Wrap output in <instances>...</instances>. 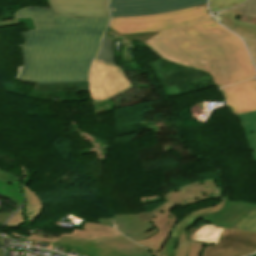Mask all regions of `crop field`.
I'll return each mask as SVG.
<instances>
[{"instance_id": "crop-field-13", "label": "crop field", "mask_w": 256, "mask_h": 256, "mask_svg": "<svg viewBox=\"0 0 256 256\" xmlns=\"http://www.w3.org/2000/svg\"><path fill=\"white\" fill-rule=\"evenodd\" d=\"M56 246L71 247L86 256H130L116 252L99 243L64 237L55 243Z\"/></svg>"}, {"instance_id": "crop-field-2", "label": "crop field", "mask_w": 256, "mask_h": 256, "mask_svg": "<svg viewBox=\"0 0 256 256\" xmlns=\"http://www.w3.org/2000/svg\"><path fill=\"white\" fill-rule=\"evenodd\" d=\"M16 18L32 17L36 31L20 33L25 44L19 80L32 83L88 82L108 16L54 17L52 9L26 8ZM97 56V55H96Z\"/></svg>"}, {"instance_id": "crop-field-1", "label": "crop field", "mask_w": 256, "mask_h": 256, "mask_svg": "<svg viewBox=\"0 0 256 256\" xmlns=\"http://www.w3.org/2000/svg\"><path fill=\"white\" fill-rule=\"evenodd\" d=\"M212 20L204 3L160 14L112 17L109 27L120 34L160 31L145 41L152 51L209 72L218 88L256 77L242 41Z\"/></svg>"}, {"instance_id": "crop-field-18", "label": "crop field", "mask_w": 256, "mask_h": 256, "mask_svg": "<svg viewBox=\"0 0 256 256\" xmlns=\"http://www.w3.org/2000/svg\"><path fill=\"white\" fill-rule=\"evenodd\" d=\"M244 5L238 7V8H234V9H230V10H226L223 11L222 13V18L221 21L223 22V24L228 27L230 30H232L233 32H235L237 35H239L240 37L242 35L247 36V37H252V38H256L253 37L245 32H242L236 28H234L236 26V24L238 23L240 17L243 15L244 12Z\"/></svg>"}, {"instance_id": "crop-field-19", "label": "crop field", "mask_w": 256, "mask_h": 256, "mask_svg": "<svg viewBox=\"0 0 256 256\" xmlns=\"http://www.w3.org/2000/svg\"><path fill=\"white\" fill-rule=\"evenodd\" d=\"M24 189H25L26 199H27V203L25 204L26 215L28 219L34 221L40 215L44 205H43V202L35 193H33L32 191L26 188L25 184H24Z\"/></svg>"}, {"instance_id": "crop-field-7", "label": "crop field", "mask_w": 256, "mask_h": 256, "mask_svg": "<svg viewBox=\"0 0 256 256\" xmlns=\"http://www.w3.org/2000/svg\"><path fill=\"white\" fill-rule=\"evenodd\" d=\"M256 251V234L225 230L218 245L207 244L202 256H244Z\"/></svg>"}, {"instance_id": "crop-field-27", "label": "crop field", "mask_w": 256, "mask_h": 256, "mask_svg": "<svg viewBox=\"0 0 256 256\" xmlns=\"http://www.w3.org/2000/svg\"><path fill=\"white\" fill-rule=\"evenodd\" d=\"M243 16L256 17V0H249L248 3H246Z\"/></svg>"}, {"instance_id": "crop-field-3", "label": "crop field", "mask_w": 256, "mask_h": 256, "mask_svg": "<svg viewBox=\"0 0 256 256\" xmlns=\"http://www.w3.org/2000/svg\"><path fill=\"white\" fill-rule=\"evenodd\" d=\"M112 219L97 217L94 222L85 221L83 228H74L71 233H61L58 238L38 233L26 239L55 243L64 236L87 239L102 243L114 250L135 256H151L150 252L121 235L113 227ZM112 226V228H111Z\"/></svg>"}, {"instance_id": "crop-field-14", "label": "crop field", "mask_w": 256, "mask_h": 256, "mask_svg": "<svg viewBox=\"0 0 256 256\" xmlns=\"http://www.w3.org/2000/svg\"><path fill=\"white\" fill-rule=\"evenodd\" d=\"M224 229L213 225H204L196 229L194 232L189 231L187 234L188 240L217 245Z\"/></svg>"}, {"instance_id": "crop-field-9", "label": "crop field", "mask_w": 256, "mask_h": 256, "mask_svg": "<svg viewBox=\"0 0 256 256\" xmlns=\"http://www.w3.org/2000/svg\"><path fill=\"white\" fill-rule=\"evenodd\" d=\"M109 0H50L56 16L85 17L107 15Z\"/></svg>"}, {"instance_id": "crop-field-29", "label": "crop field", "mask_w": 256, "mask_h": 256, "mask_svg": "<svg viewBox=\"0 0 256 256\" xmlns=\"http://www.w3.org/2000/svg\"><path fill=\"white\" fill-rule=\"evenodd\" d=\"M13 212H4L0 213V224H3L9 217V214L12 215Z\"/></svg>"}, {"instance_id": "crop-field-30", "label": "crop field", "mask_w": 256, "mask_h": 256, "mask_svg": "<svg viewBox=\"0 0 256 256\" xmlns=\"http://www.w3.org/2000/svg\"><path fill=\"white\" fill-rule=\"evenodd\" d=\"M21 70H22V66H19V67H18V73H17L15 79L18 80Z\"/></svg>"}, {"instance_id": "crop-field-6", "label": "crop field", "mask_w": 256, "mask_h": 256, "mask_svg": "<svg viewBox=\"0 0 256 256\" xmlns=\"http://www.w3.org/2000/svg\"><path fill=\"white\" fill-rule=\"evenodd\" d=\"M255 207L256 203L223 200L216 206L204 208L192 214L212 224L231 228L248 215Z\"/></svg>"}, {"instance_id": "crop-field-8", "label": "crop field", "mask_w": 256, "mask_h": 256, "mask_svg": "<svg viewBox=\"0 0 256 256\" xmlns=\"http://www.w3.org/2000/svg\"><path fill=\"white\" fill-rule=\"evenodd\" d=\"M199 186V188H198ZM220 198L215 179L197 181L167 193L165 200L177 205L187 206L206 199Z\"/></svg>"}, {"instance_id": "crop-field-26", "label": "crop field", "mask_w": 256, "mask_h": 256, "mask_svg": "<svg viewBox=\"0 0 256 256\" xmlns=\"http://www.w3.org/2000/svg\"><path fill=\"white\" fill-rule=\"evenodd\" d=\"M245 43L247 44L250 54L256 64V39L247 38V37H241Z\"/></svg>"}, {"instance_id": "crop-field-12", "label": "crop field", "mask_w": 256, "mask_h": 256, "mask_svg": "<svg viewBox=\"0 0 256 256\" xmlns=\"http://www.w3.org/2000/svg\"><path fill=\"white\" fill-rule=\"evenodd\" d=\"M173 206L174 205L168 203L166 206L157 211H151L153 214L156 215V217L151 219V221L153 222L154 226L158 228L159 231L154 236L137 242L150 248L154 256L156 255V252H159V250L165 243L169 233L171 232V229L176 224H173L171 227L169 226V220H172V217L174 215L166 211Z\"/></svg>"}, {"instance_id": "crop-field-4", "label": "crop field", "mask_w": 256, "mask_h": 256, "mask_svg": "<svg viewBox=\"0 0 256 256\" xmlns=\"http://www.w3.org/2000/svg\"><path fill=\"white\" fill-rule=\"evenodd\" d=\"M130 88L132 84L120 68L94 61L90 72V94L95 102L120 95Z\"/></svg>"}, {"instance_id": "crop-field-28", "label": "crop field", "mask_w": 256, "mask_h": 256, "mask_svg": "<svg viewBox=\"0 0 256 256\" xmlns=\"http://www.w3.org/2000/svg\"><path fill=\"white\" fill-rule=\"evenodd\" d=\"M21 210H22V208L16 213L14 218L12 217L7 222L6 226H20L25 222V220L23 219V217L21 215Z\"/></svg>"}, {"instance_id": "crop-field-10", "label": "crop field", "mask_w": 256, "mask_h": 256, "mask_svg": "<svg viewBox=\"0 0 256 256\" xmlns=\"http://www.w3.org/2000/svg\"><path fill=\"white\" fill-rule=\"evenodd\" d=\"M152 217L154 215L151 212L114 214V222L119 231L137 242L158 231L149 220Z\"/></svg>"}, {"instance_id": "crop-field-21", "label": "crop field", "mask_w": 256, "mask_h": 256, "mask_svg": "<svg viewBox=\"0 0 256 256\" xmlns=\"http://www.w3.org/2000/svg\"><path fill=\"white\" fill-rule=\"evenodd\" d=\"M231 229L256 232V209Z\"/></svg>"}, {"instance_id": "crop-field-31", "label": "crop field", "mask_w": 256, "mask_h": 256, "mask_svg": "<svg viewBox=\"0 0 256 256\" xmlns=\"http://www.w3.org/2000/svg\"><path fill=\"white\" fill-rule=\"evenodd\" d=\"M8 200H10L12 203H14L17 208L20 207V206H19L16 202H14L12 199H9V198H8Z\"/></svg>"}, {"instance_id": "crop-field-20", "label": "crop field", "mask_w": 256, "mask_h": 256, "mask_svg": "<svg viewBox=\"0 0 256 256\" xmlns=\"http://www.w3.org/2000/svg\"><path fill=\"white\" fill-rule=\"evenodd\" d=\"M96 60L115 65V60L113 57V41L106 36H103L100 53L96 57Z\"/></svg>"}, {"instance_id": "crop-field-5", "label": "crop field", "mask_w": 256, "mask_h": 256, "mask_svg": "<svg viewBox=\"0 0 256 256\" xmlns=\"http://www.w3.org/2000/svg\"><path fill=\"white\" fill-rule=\"evenodd\" d=\"M207 0H110L112 16L160 13L190 7Z\"/></svg>"}, {"instance_id": "crop-field-11", "label": "crop field", "mask_w": 256, "mask_h": 256, "mask_svg": "<svg viewBox=\"0 0 256 256\" xmlns=\"http://www.w3.org/2000/svg\"><path fill=\"white\" fill-rule=\"evenodd\" d=\"M234 115L256 110V79L222 88Z\"/></svg>"}, {"instance_id": "crop-field-32", "label": "crop field", "mask_w": 256, "mask_h": 256, "mask_svg": "<svg viewBox=\"0 0 256 256\" xmlns=\"http://www.w3.org/2000/svg\"><path fill=\"white\" fill-rule=\"evenodd\" d=\"M0 256H3V252H2V250H0Z\"/></svg>"}, {"instance_id": "crop-field-23", "label": "crop field", "mask_w": 256, "mask_h": 256, "mask_svg": "<svg viewBox=\"0 0 256 256\" xmlns=\"http://www.w3.org/2000/svg\"><path fill=\"white\" fill-rule=\"evenodd\" d=\"M213 11L217 12L223 9L237 6L246 0H211Z\"/></svg>"}, {"instance_id": "crop-field-25", "label": "crop field", "mask_w": 256, "mask_h": 256, "mask_svg": "<svg viewBox=\"0 0 256 256\" xmlns=\"http://www.w3.org/2000/svg\"><path fill=\"white\" fill-rule=\"evenodd\" d=\"M176 240L177 239L169 238L162 251L157 256H173Z\"/></svg>"}, {"instance_id": "crop-field-16", "label": "crop field", "mask_w": 256, "mask_h": 256, "mask_svg": "<svg viewBox=\"0 0 256 256\" xmlns=\"http://www.w3.org/2000/svg\"><path fill=\"white\" fill-rule=\"evenodd\" d=\"M245 131L251 153L256 160V111L237 116Z\"/></svg>"}, {"instance_id": "crop-field-24", "label": "crop field", "mask_w": 256, "mask_h": 256, "mask_svg": "<svg viewBox=\"0 0 256 256\" xmlns=\"http://www.w3.org/2000/svg\"><path fill=\"white\" fill-rule=\"evenodd\" d=\"M198 219L192 217V216H187L186 218H184L183 220H181L176 227L174 228L171 237L174 238H178L181 229H185L187 230L195 221H197Z\"/></svg>"}, {"instance_id": "crop-field-17", "label": "crop field", "mask_w": 256, "mask_h": 256, "mask_svg": "<svg viewBox=\"0 0 256 256\" xmlns=\"http://www.w3.org/2000/svg\"><path fill=\"white\" fill-rule=\"evenodd\" d=\"M186 233L182 230L178 238L175 256H200L206 244L188 241Z\"/></svg>"}, {"instance_id": "crop-field-22", "label": "crop field", "mask_w": 256, "mask_h": 256, "mask_svg": "<svg viewBox=\"0 0 256 256\" xmlns=\"http://www.w3.org/2000/svg\"><path fill=\"white\" fill-rule=\"evenodd\" d=\"M236 28L256 36V18L242 17Z\"/></svg>"}, {"instance_id": "crop-field-15", "label": "crop field", "mask_w": 256, "mask_h": 256, "mask_svg": "<svg viewBox=\"0 0 256 256\" xmlns=\"http://www.w3.org/2000/svg\"><path fill=\"white\" fill-rule=\"evenodd\" d=\"M0 194L13 197L19 204L23 202L18 179L3 171H0Z\"/></svg>"}]
</instances>
